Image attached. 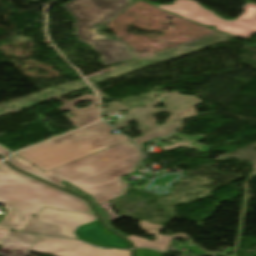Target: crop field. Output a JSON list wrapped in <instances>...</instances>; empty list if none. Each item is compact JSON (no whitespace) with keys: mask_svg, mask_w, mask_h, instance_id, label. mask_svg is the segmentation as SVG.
Here are the masks:
<instances>
[{"mask_svg":"<svg viewBox=\"0 0 256 256\" xmlns=\"http://www.w3.org/2000/svg\"><path fill=\"white\" fill-rule=\"evenodd\" d=\"M141 160L136 145L127 141L46 173L72 183L103 204L125 195L131 184L120 177L134 172Z\"/></svg>","mask_w":256,"mask_h":256,"instance_id":"obj_1","label":"crop field"},{"mask_svg":"<svg viewBox=\"0 0 256 256\" xmlns=\"http://www.w3.org/2000/svg\"><path fill=\"white\" fill-rule=\"evenodd\" d=\"M0 202L8 209L0 224L19 231L43 207L95 214L85 200L28 175L8 179L0 173Z\"/></svg>","mask_w":256,"mask_h":256,"instance_id":"obj_2","label":"crop field"},{"mask_svg":"<svg viewBox=\"0 0 256 256\" xmlns=\"http://www.w3.org/2000/svg\"><path fill=\"white\" fill-rule=\"evenodd\" d=\"M111 130L109 125L99 122L17 155L46 172L128 140L121 135L109 134Z\"/></svg>","mask_w":256,"mask_h":256,"instance_id":"obj_3","label":"crop field"},{"mask_svg":"<svg viewBox=\"0 0 256 256\" xmlns=\"http://www.w3.org/2000/svg\"><path fill=\"white\" fill-rule=\"evenodd\" d=\"M157 7L203 25H215V30L238 37L249 39L250 34L256 32V5L250 2L242 7L245 11L232 21L216 16L193 0H176L172 5Z\"/></svg>","mask_w":256,"mask_h":256,"instance_id":"obj_4","label":"crop field"},{"mask_svg":"<svg viewBox=\"0 0 256 256\" xmlns=\"http://www.w3.org/2000/svg\"><path fill=\"white\" fill-rule=\"evenodd\" d=\"M166 98L167 101L163 102L167 105L166 108L153 109V106L157 105V101L161 98ZM202 102L196 96H185L180 95L179 92L174 91L173 93H163L158 96L157 99L150 104H147V108H134L130 110L129 115L116 121L115 127L120 129L125 127L128 122L136 119L141 129L142 135L184 120L186 118L197 115L194 106L200 105ZM168 112L172 113L165 124L157 127L153 115Z\"/></svg>","mask_w":256,"mask_h":256,"instance_id":"obj_5","label":"crop field"},{"mask_svg":"<svg viewBox=\"0 0 256 256\" xmlns=\"http://www.w3.org/2000/svg\"><path fill=\"white\" fill-rule=\"evenodd\" d=\"M77 19V35L83 41L93 38L90 28L115 18L128 6V0H73L64 5Z\"/></svg>","mask_w":256,"mask_h":256,"instance_id":"obj_6","label":"crop field"},{"mask_svg":"<svg viewBox=\"0 0 256 256\" xmlns=\"http://www.w3.org/2000/svg\"><path fill=\"white\" fill-rule=\"evenodd\" d=\"M97 219L93 214L43 208L22 231L78 239L76 228Z\"/></svg>","mask_w":256,"mask_h":256,"instance_id":"obj_7","label":"crop field"},{"mask_svg":"<svg viewBox=\"0 0 256 256\" xmlns=\"http://www.w3.org/2000/svg\"><path fill=\"white\" fill-rule=\"evenodd\" d=\"M79 239L93 245L110 248H130L127 241L107 230L101 220H97L77 228L75 231Z\"/></svg>","mask_w":256,"mask_h":256,"instance_id":"obj_8","label":"crop field"},{"mask_svg":"<svg viewBox=\"0 0 256 256\" xmlns=\"http://www.w3.org/2000/svg\"><path fill=\"white\" fill-rule=\"evenodd\" d=\"M52 97L66 103L65 105L59 107L58 109L61 111H64V110L71 111V113L74 114L75 116L73 118H70V117H68V115H69L68 114V115H66V117L77 128L84 126L86 124L92 123V122L98 120V118H99L98 108L95 107V105L98 104V102H97L96 97L93 95H84L78 99L71 101V102L65 101L57 96H52ZM52 97H50L46 100L50 101ZM89 98H92V99H89ZM81 101H91L92 104L90 107L83 108V109H78L77 107L74 106L75 104H77Z\"/></svg>","mask_w":256,"mask_h":256,"instance_id":"obj_9","label":"crop field"},{"mask_svg":"<svg viewBox=\"0 0 256 256\" xmlns=\"http://www.w3.org/2000/svg\"><path fill=\"white\" fill-rule=\"evenodd\" d=\"M92 48L102 55L101 62L106 65L135 58L130 53V46L122 40H95Z\"/></svg>","mask_w":256,"mask_h":256,"instance_id":"obj_10","label":"crop field"},{"mask_svg":"<svg viewBox=\"0 0 256 256\" xmlns=\"http://www.w3.org/2000/svg\"><path fill=\"white\" fill-rule=\"evenodd\" d=\"M140 225L142 226L144 231L156 236V240L151 242L149 240H146V239H143L140 237L130 236L128 240L133 242L134 247H150V248H155V249L166 252V250L170 246V243H168V242L171 239H174V238L188 239L189 238L188 235L182 234V233L176 234L174 237L163 236L157 232L162 226L152 225V224H148V223H144V222H141Z\"/></svg>","mask_w":256,"mask_h":256,"instance_id":"obj_11","label":"crop field"},{"mask_svg":"<svg viewBox=\"0 0 256 256\" xmlns=\"http://www.w3.org/2000/svg\"><path fill=\"white\" fill-rule=\"evenodd\" d=\"M80 244H82V242L40 236L31 251L43 254H50L61 249L74 250Z\"/></svg>","mask_w":256,"mask_h":256,"instance_id":"obj_12","label":"crop field"},{"mask_svg":"<svg viewBox=\"0 0 256 256\" xmlns=\"http://www.w3.org/2000/svg\"><path fill=\"white\" fill-rule=\"evenodd\" d=\"M50 255H53V256H130V251L100 250L83 243L74 251L61 250Z\"/></svg>","mask_w":256,"mask_h":256,"instance_id":"obj_13","label":"crop field"},{"mask_svg":"<svg viewBox=\"0 0 256 256\" xmlns=\"http://www.w3.org/2000/svg\"><path fill=\"white\" fill-rule=\"evenodd\" d=\"M7 161L19 170H22V171L29 173L35 177H38L42 180H45L49 183H52L56 186H59V187L65 189L64 185L60 183L63 180L42 172L40 169L36 168L35 166L28 163L27 161H25L24 159L20 158L17 155Z\"/></svg>","mask_w":256,"mask_h":256,"instance_id":"obj_14","label":"crop field"},{"mask_svg":"<svg viewBox=\"0 0 256 256\" xmlns=\"http://www.w3.org/2000/svg\"><path fill=\"white\" fill-rule=\"evenodd\" d=\"M38 238L39 236L37 235L10 232L3 245L31 250Z\"/></svg>","mask_w":256,"mask_h":256,"instance_id":"obj_15","label":"crop field"},{"mask_svg":"<svg viewBox=\"0 0 256 256\" xmlns=\"http://www.w3.org/2000/svg\"><path fill=\"white\" fill-rule=\"evenodd\" d=\"M172 136L182 137V138H185V139L182 140V141L174 143V145H172V146H163L162 148L165 149L166 151L172 150V149L180 147V146H185L189 149L196 148V149H198L199 151H201L203 153H205L209 149H211L210 147H208L206 145L195 143V141L203 139L202 135L189 136V135H183V134H175V135H172ZM168 137H170V136H168Z\"/></svg>","mask_w":256,"mask_h":256,"instance_id":"obj_16","label":"crop field"},{"mask_svg":"<svg viewBox=\"0 0 256 256\" xmlns=\"http://www.w3.org/2000/svg\"><path fill=\"white\" fill-rule=\"evenodd\" d=\"M62 183L65 184L66 189H68L69 191L78 194V195H82V196H88V200L90 201V203L92 204V206L94 207V209L97 211V213L100 215V217L103 219V221L106 223V225L113 229L114 231H116L117 233H119L120 235L124 236L125 238H128V235L123 234L119 231H117L114 227L111 226L110 221H109V217L108 214L106 212V210H104L103 208H101L96 201L90 197L88 194L84 193L83 191H81L80 189L76 188L75 186H73L72 184L63 181Z\"/></svg>","mask_w":256,"mask_h":256,"instance_id":"obj_17","label":"crop field"},{"mask_svg":"<svg viewBox=\"0 0 256 256\" xmlns=\"http://www.w3.org/2000/svg\"><path fill=\"white\" fill-rule=\"evenodd\" d=\"M183 122L184 121H181L179 123L173 124L171 126L165 127L163 129L157 130V131L149 133L147 135L141 136L134 140L137 142L140 149L143 150L141 143L161 137V136H165V135L174 133L176 131V129L180 128V126L183 124Z\"/></svg>","mask_w":256,"mask_h":256,"instance_id":"obj_18","label":"crop field"},{"mask_svg":"<svg viewBox=\"0 0 256 256\" xmlns=\"http://www.w3.org/2000/svg\"><path fill=\"white\" fill-rule=\"evenodd\" d=\"M29 251L1 246V256H26Z\"/></svg>","mask_w":256,"mask_h":256,"instance_id":"obj_19","label":"crop field"},{"mask_svg":"<svg viewBox=\"0 0 256 256\" xmlns=\"http://www.w3.org/2000/svg\"><path fill=\"white\" fill-rule=\"evenodd\" d=\"M109 105H110L109 108L102 109L103 112H105V113H112V112H116V111H128V110H130L129 107H127V106H125L123 104H120L118 102H112Z\"/></svg>","mask_w":256,"mask_h":256,"instance_id":"obj_20","label":"crop field"},{"mask_svg":"<svg viewBox=\"0 0 256 256\" xmlns=\"http://www.w3.org/2000/svg\"><path fill=\"white\" fill-rule=\"evenodd\" d=\"M0 172H2L4 175H6L9 178L24 175L23 173L17 172L10 168L7 164L3 163L0 165ZM8 178V179H9Z\"/></svg>","mask_w":256,"mask_h":256,"instance_id":"obj_21","label":"crop field"},{"mask_svg":"<svg viewBox=\"0 0 256 256\" xmlns=\"http://www.w3.org/2000/svg\"><path fill=\"white\" fill-rule=\"evenodd\" d=\"M135 256H162L153 250H135Z\"/></svg>","mask_w":256,"mask_h":256,"instance_id":"obj_22","label":"crop field"},{"mask_svg":"<svg viewBox=\"0 0 256 256\" xmlns=\"http://www.w3.org/2000/svg\"><path fill=\"white\" fill-rule=\"evenodd\" d=\"M101 207H103L104 209H106L109 213V217H110V221H114L118 218H120L118 215H116L111 209H110V206H109V203H105L103 205H101Z\"/></svg>","mask_w":256,"mask_h":256,"instance_id":"obj_23","label":"crop field"},{"mask_svg":"<svg viewBox=\"0 0 256 256\" xmlns=\"http://www.w3.org/2000/svg\"><path fill=\"white\" fill-rule=\"evenodd\" d=\"M10 231L11 229L4 226H0V243L4 242Z\"/></svg>","mask_w":256,"mask_h":256,"instance_id":"obj_24","label":"crop field"},{"mask_svg":"<svg viewBox=\"0 0 256 256\" xmlns=\"http://www.w3.org/2000/svg\"><path fill=\"white\" fill-rule=\"evenodd\" d=\"M10 154V152H8L7 150H5L4 148L0 147V155H2L3 157Z\"/></svg>","mask_w":256,"mask_h":256,"instance_id":"obj_25","label":"crop field"},{"mask_svg":"<svg viewBox=\"0 0 256 256\" xmlns=\"http://www.w3.org/2000/svg\"><path fill=\"white\" fill-rule=\"evenodd\" d=\"M91 33H92V32H91ZM92 34H93V33H92ZM93 36H94V39H101L100 37L96 36L95 34H93ZM94 39L88 40V41H84V42L87 43V44H89V45L91 46L92 41H93Z\"/></svg>","mask_w":256,"mask_h":256,"instance_id":"obj_26","label":"crop field"},{"mask_svg":"<svg viewBox=\"0 0 256 256\" xmlns=\"http://www.w3.org/2000/svg\"><path fill=\"white\" fill-rule=\"evenodd\" d=\"M0 246H1V244H0Z\"/></svg>","mask_w":256,"mask_h":256,"instance_id":"obj_27","label":"crop field"},{"mask_svg":"<svg viewBox=\"0 0 256 256\" xmlns=\"http://www.w3.org/2000/svg\"><path fill=\"white\" fill-rule=\"evenodd\" d=\"M1 160V159H0Z\"/></svg>","mask_w":256,"mask_h":256,"instance_id":"obj_28","label":"crop field"}]
</instances>
